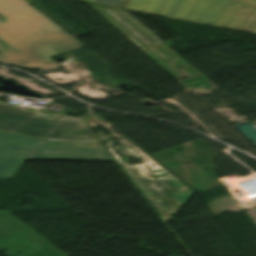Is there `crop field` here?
<instances>
[{"mask_svg":"<svg viewBox=\"0 0 256 256\" xmlns=\"http://www.w3.org/2000/svg\"><path fill=\"white\" fill-rule=\"evenodd\" d=\"M0 62L21 68L62 67L50 56L82 46L23 0H0Z\"/></svg>","mask_w":256,"mask_h":256,"instance_id":"1","label":"crop field"},{"mask_svg":"<svg viewBox=\"0 0 256 256\" xmlns=\"http://www.w3.org/2000/svg\"><path fill=\"white\" fill-rule=\"evenodd\" d=\"M126 10L254 33L256 8L233 0H129Z\"/></svg>","mask_w":256,"mask_h":256,"instance_id":"2","label":"crop field"},{"mask_svg":"<svg viewBox=\"0 0 256 256\" xmlns=\"http://www.w3.org/2000/svg\"><path fill=\"white\" fill-rule=\"evenodd\" d=\"M28 159L114 161L82 119L59 121Z\"/></svg>","mask_w":256,"mask_h":256,"instance_id":"3","label":"crop field"},{"mask_svg":"<svg viewBox=\"0 0 256 256\" xmlns=\"http://www.w3.org/2000/svg\"><path fill=\"white\" fill-rule=\"evenodd\" d=\"M76 119L0 103V130L45 139L59 120Z\"/></svg>","mask_w":256,"mask_h":256,"instance_id":"4","label":"crop field"},{"mask_svg":"<svg viewBox=\"0 0 256 256\" xmlns=\"http://www.w3.org/2000/svg\"><path fill=\"white\" fill-rule=\"evenodd\" d=\"M41 140L0 132V178H12Z\"/></svg>","mask_w":256,"mask_h":256,"instance_id":"5","label":"crop field"},{"mask_svg":"<svg viewBox=\"0 0 256 256\" xmlns=\"http://www.w3.org/2000/svg\"><path fill=\"white\" fill-rule=\"evenodd\" d=\"M76 1H82L87 3L119 8L122 5L126 4L128 0H76Z\"/></svg>","mask_w":256,"mask_h":256,"instance_id":"6","label":"crop field"},{"mask_svg":"<svg viewBox=\"0 0 256 256\" xmlns=\"http://www.w3.org/2000/svg\"><path fill=\"white\" fill-rule=\"evenodd\" d=\"M239 1H243V2H246V3H249V4L256 5V0H239Z\"/></svg>","mask_w":256,"mask_h":256,"instance_id":"7","label":"crop field"},{"mask_svg":"<svg viewBox=\"0 0 256 256\" xmlns=\"http://www.w3.org/2000/svg\"><path fill=\"white\" fill-rule=\"evenodd\" d=\"M255 33H256V31H255Z\"/></svg>","mask_w":256,"mask_h":256,"instance_id":"8","label":"crop field"}]
</instances>
